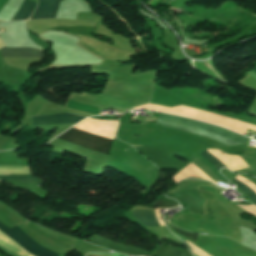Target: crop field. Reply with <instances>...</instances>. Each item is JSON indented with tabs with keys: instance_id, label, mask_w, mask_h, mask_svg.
Listing matches in <instances>:
<instances>
[{
	"instance_id": "3316defc",
	"label": "crop field",
	"mask_w": 256,
	"mask_h": 256,
	"mask_svg": "<svg viewBox=\"0 0 256 256\" xmlns=\"http://www.w3.org/2000/svg\"><path fill=\"white\" fill-rule=\"evenodd\" d=\"M237 185H239L241 188H239L242 192H244L247 196H249V199L253 201L256 204V193L253 192L250 188H248L246 185H244L242 182L234 179L232 180Z\"/></svg>"
},
{
	"instance_id": "34b2d1b8",
	"label": "crop field",
	"mask_w": 256,
	"mask_h": 256,
	"mask_svg": "<svg viewBox=\"0 0 256 256\" xmlns=\"http://www.w3.org/2000/svg\"><path fill=\"white\" fill-rule=\"evenodd\" d=\"M0 230L9 236L13 241L23 247L27 252L36 256H58L31 241L21 230L16 226L12 229L6 228L0 223Z\"/></svg>"
},
{
	"instance_id": "28ad6ade",
	"label": "crop field",
	"mask_w": 256,
	"mask_h": 256,
	"mask_svg": "<svg viewBox=\"0 0 256 256\" xmlns=\"http://www.w3.org/2000/svg\"><path fill=\"white\" fill-rule=\"evenodd\" d=\"M203 158H205L207 161H209L213 166H215L217 169L220 167H225L223 164H221L216 158H214L210 153H208L206 150L200 154ZM226 168V167H225Z\"/></svg>"
},
{
	"instance_id": "5a996713",
	"label": "crop field",
	"mask_w": 256,
	"mask_h": 256,
	"mask_svg": "<svg viewBox=\"0 0 256 256\" xmlns=\"http://www.w3.org/2000/svg\"><path fill=\"white\" fill-rule=\"evenodd\" d=\"M0 180H5L7 182L13 183H23V184H33L41 185L42 180L36 179L32 176H0Z\"/></svg>"
},
{
	"instance_id": "d8731c3e",
	"label": "crop field",
	"mask_w": 256,
	"mask_h": 256,
	"mask_svg": "<svg viewBox=\"0 0 256 256\" xmlns=\"http://www.w3.org/2000/svg\"><path fill=\"white\" fill-rule=\"evenodd\" d=\"M36 5H37L36 3L30 0H24L21 8L19 9V11L17 12V14L15 15L12 21L27 20L28 17L32 14Z\"/></svg>"
},
{
	"instance_id": "f4fd0767",
	"label": "crop field",
	"mask_w": 256,
	"mask_h": 256,
	"mask_svg": "<svg viewBox=\"0 0 256 256\" xmlns=\"http://www.w3.org/2000/svg\"><path fill=\"white\" fill-rule=\"evenodd\" d=\"M39 5L36 8L33 19H49L54 18L57 12L58 5L62 0H37Z\"/></svg>"
},
{
	"instance_id": "cbeb9de0",
	"label": "crop field",
	"mask_w": 256,
	"mask_h": 256,
	"mask_svg": "<svg viewBox=\"0 0 256 256\" xmlns=\"http://www.w3.org/2000/svg\"><path fill=\"white\" fill-rule=\"evenodd\" d=\"M252 70L256 71V68H254V69H252Z\"/></svg>"
},
{
	"instance_id": "ac0d7876",
	"label": "crop field",
	"mask_w": 256,
	"mask_h": 256,
	"mask_svg": "<svg viewBox=\"0 0 256 256\" xmlns=\"http://www.w3.org/2000/svg\"><path fill=\"white\" fill-rule=\"evenodd\" d=\"M57 139L67 141L103 154H109L112 140L69 129Z\"/></svg>"
},
{
	"instance_id": "8a807250",
	"label": "crop field",
	"mask_w": 256,
	"mask_h": 256,
	"mask_svg": "<svg viewBox=\"0 0 256 256\" xmlns=\"http://www.w3.org/2000/svg\"><path fill=\"white\" fill-rule=\"evenodd\" d=\"M160 118L169 120V121L186 124V125H190V126H194V127H198V128H202V129H206L208 131H211L216 134L222 135L224 137L230 138V139L237 141L241 144L249 142V139H247L241 135H238L233 132L227 131L223 128L205 124L202 122H198V121H194V120H190V119H186V118H182V117H178V116H174V115L164 114V113L161 114ZM161 119H158V121L156 122L157 125L167 126V127H171L174 129L184 131V132H188V133H192V134L199 135L202 137H206V138L221 142L223 144H226L228 146L240 145L237 142H234L230 139L216 135L214 133L208 132L206 130L189 127V126H185V125H181V124H177V123H173V122H169V121H165V120H161Z\"/></svg>"
},
{
	"instance_id": "d1516ede",
	"label": "crop field",
	"mask_w": 256,
	"mask_h": 256,
	"mask_svg": "<svg viewBox=\"0 0 256 256\" xmlns=\"http://www.w3.org/2000/svg\"><path fill=\"white\" fill-rule=\"evenodd\" d=\"M152 206L170 208V207L177 206V204L174 203V202H167V201H155V202L152 204Z\"/></svg>"
},
{
	"instance_id": "e52e79f7",
	"label": "crop field",
	"mask_w": 256,
	"mask_h": 256,
	"mask_svg": "<svg viewBox=\"0 0 256 256\" xmlns=\"http://www.w3.org/2000/svg\"><path fill=\"white\" fill-rule=\"evenodd\" d=\"M132 213L146 227L160 226L155 218L154 210L133 211Z\"/></svg>"
},
{
	"instance_id": "412701ff",
	"label": "crop field",
	"mask_w": 256,
	"mask_h": 256,
	"mask_svg": "<svg viewBox=\"0 0 256 256\" xmlns=\"http://www.w3.org/2000/svg\"><path fill=\"white\" fill-rule=\"evenodd\" d=\"M83 119V117L68 113L37 116L33 117L32 125L76 124Z\"/></svg>"
},
{
	"instance_id": "dd49c442",
	"label": "crop field",
	"mask_w": 256,
	"mask_h": 256,
	"mask_svg": "<svg viewBox=\"0 0 256 256\" xmlns=\"http://www.w3.org/2000/svg\"><path fill=\"white\" fill-rule=\"evenodd\" d=\"M0 53L2 57L42 58V52L28 48L11 49L2 47Z\"/></svg>"
},
{
	"instance_id": "22f410ed",
	"label": "crop field",
	"mask_w": 256,
	"mask_h": 256,
	"mask_svg": "<svg viewBox=\"0 0 256 256\" xmlns=\"http://www.w3.org/2000/svg\"><path fill=\"white\" fill-rule=\"evenodd\" d=\"M172 228V230H174L176 233H178V234H180V235H182V236H184V237H186V238H188V239H190V240H192V241H196V239H197V236L196 235H194V234H190V233H185V232H183V231H179V230H177V229H175L174 227H171Z\"/></svg>"
}]
</instances>
